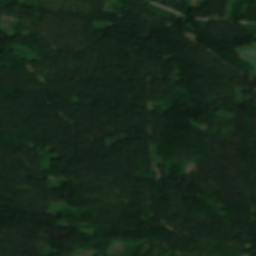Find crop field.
Masks as SVG:
<instances>
[{
    "label": "crop field",
    "instance_id": "obj_1",
    "mask_svg": "<svg viewBox=\"0 0 256 256\" xmlns=\"http://www.w3.org/2000/svg\"><path fill=\"white\" fill-rule=\"evenodd\" d=\"M241 58L256 67V54H253V51H247L246 48L237 49Z\"/></svg>",
    "mask_w": 256,
    "mask_h": 256
}]
</instances>
